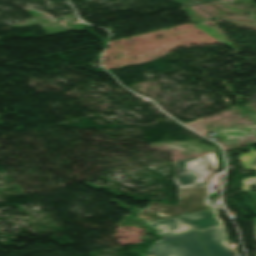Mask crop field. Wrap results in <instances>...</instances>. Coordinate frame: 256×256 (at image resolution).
Returning a JSON list of instances; mask_svg holds the SVG:
<instances>
[{"mask_svg": "<svg viewBox=\"0 0 256 256\" xmlns=\"http://www.w3.org/2000/svg\"><path fill=\"white\" fill-rule=\"evenodd\" d=\"M145 256H208L199 241L197 230L167 236L155 241Z\"/></svg>", "mask_w": 256, "mask_h": 256, "instance_id": "ac0d7876", "label": "crop field"}, {"mask_svg": "<svg viewBox=\"0 0 256 256\" xmlns=\"http://www.w3.org/2000/svg\"><path fill=\"white\" fill-rule=\"evenodd\" d=\"M199 232L210 256H233L225 242L227 233L223 225L200 229Z\"/></svg>", "mask_w": 256, "mask_h": 256, "instance_id": "f4fd0767", "label": "crop field"}, {"mask_svg": "<svg viewBox=\"0 0 256 256\" xmlns=\"http://www.w3.org/2000/svg\"><path fill=\"white\" fill-rule=\"evenodd\" d=\"M217 170L213 154L175 162L174 181L178 186H207Z\"/></svg>", "mask_w": 256, "mask_h": 256, "instance_id": "34b2d1b8", "label": "crop field"}, {"mask_svg": "<svg viewBox=\"0 0 256 256\" xmlns=\"http://www.w3.org/2000/svg\"><path fill=\"white\" fill-rule=\"evenodd\" d=\"M253 221H254L255 231H256V217H255V218H253Z\"/></svg>", "mask_w": 256, "mask_h": 256, "instance_id": "3316defc", "label": "crop field"}, {"mask_svg": "<svg viewBox=\"0 0 256 256\" xmlns=\"http://www.w3.org/2000/svg\"><path fill=\"white\" fill-rule=\"evenodd\" d=\"M157 230L161 236L220 225L215 209H209L173 218L147 223Z\"/></svg>", "mask_w": 256, "mask_h": 256, "instance_id": "412701ff", "label": "crop field"}, {"mask_svg": "<svg viewBox=\"0 0 256 256\" xmlns=\"http://www.w3.org/2000/svg\"><path fill=\"white\" fill-rule=\"evenodd\" d=\"M244 168L256 169V150L253 147L249 148V153L238 154ZM242 190H249V185L256 184V177L243 178Z\"/></svg>", "mask_w": 256, "mask_h": 256, "instance_id": "dd49c442", "label": "crop field"}, {"mask_svg": "<svg viewBox=\"0 0 256 256\" xmlns=\"http://www.w3.org/2000/svg\"><path fill=\"white\" fill-rule=\"evenodd\" d=\"M139 216L141 217V219L145 222H149V218L145 215L144 211L142 210L141 212H139Z\"/></svg>", "mask_w": 256, "mask_h": 256, "instance_id": "e52e79f7", "label": "crop field"}, {"mask_svg": "<svg viewBox=\"0 0 256 256\" xmlns=\"http://www.w3.org/2000/svg\"><path fill=\"white\" fill-rule=\"evenodd\" d=\"M183 5H186V4H192V2H190L189 0H175Z\"/></svg>", "mask_w": 256, "mask_h": 256, "instance_id": "d8731c3e", "label": "crop field"}, {"mask_svg": "<svg viewBox=\"0 0 256 256\" xmlns=\"http://www.w3.org/2000/svg\"><path fill=\"white\" fill-rule=\"evenodd\" d=\"M192 1L198 3V2L207 1V0H192Z\"/></svg>", "mask_w": 256, "mask_h": 256, "instance_id": "5a996713", "label": "crop field"}, {"mask_svg": "<svg viewBox=\"0 0 256 256\" xmlns=\"http://www.w3.org/2000/svg\"><path fill=\"white\" fill-rule=\"evenodd\" d=\"M179 189L180 199L177 205L151 202L144 208L150 221L184 214L182 211L190 213L210 208L205 201L207 187H179Z\"/></svg>", "mask_w": 256, "mask_h": 256, "instance_id": "8a807250", "label": "crop field"}]
</instances>
